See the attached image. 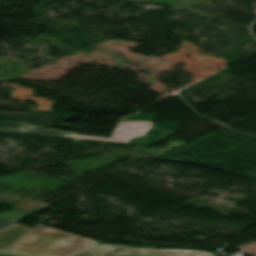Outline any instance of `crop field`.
Here are the masks:
<instances>
[{
    "mask_svg": "<svg viewBox=\"0 0 256 256\" xmlns=\"http://www.w3.org/2000/svg\"><path fill=\"white\" fill-rule=\"evenodd\" d=\"M32 228L14 223L4 229L0 230V250L5 249L14 241L22 237Z\"/></svg>",
    "mask_w": 256,
    "mask_h": 256,
    "instance_id": "obj_4",
    "label": "crop field"
},
{
    "mask_svg": "<svg viewBox=\"0 0 256 256\" xmlns=\"http://www.w3.org/2000/svg\"><path fill=\"white\" fill-rule=\"evenodd\" d=\"M72 256H213L204 251L154 250L120 245L95 244Z\"/></svg>",
    "mask_w": 256,
    "mask_h": 256,
    "instance_id": "obj_2",
    "label": "crop field"
},
{
    "mask_svg": "<svg viewBox=\"0 0 256 256\" xmlns=\"http://www.w3.org/2000/svg\"><path fill=\"white\" fill-rule=\"evenodd\" d=\"M152 122H120L112 138L131 140L133 137L148 134Z\"/></svg>",
    "mask_w": 256,
    "mask_h": 256,
    "instance_id": "obj_3",
    "label": "crop field"
},
{
    "mask_svg": "<svg viewBox=\"0 0 256 256\" xmlns=\"http://www.w3.org/2000/svg\"><path fill=\"white\" fill-rule=\"evenodd\" d=\"M23 218H7V219H0V229L6 227L14 222H17Z\"/></svg>",
    "mask_w": 256,
    "mask_h": 256,
    "instance_id": "obj_7",
    "label": "crop field"
},
{
    "mask_svg": "<svg viewBox=\"0 0 256 256\" xmlns=\"http://www.w3.org/2000/svg\"><path fill=\"white\" fill-rule=\"evenodd\" d=\"M0 256H17V255H10V254H2V253H0Z\"/></svg>",
    "mask_w": 256,
    "mask_h": 256,
    "instance_id": "obj_8",
    "label": "crop field"
},
{
    "mask_svg": "<svg viewBox=\"0 0 256 256\" xmlns=\"http://www.w3.org/2000/svg\"><path fill=\"white\" fill-rule=\"evenodd\" d=\"M70 137L90 139V140H99V141L120 142V143L129 142V141H125V140H115V139H105V138H95V137H85V136H75V135H70Z\"/></svg>",
    "mask_w": 256,
    "mask_h": 256,
    "instance_id": "obj_6",
    "label": "crop field"
},
{
    "mask_svg": "<svg viewBox=\"0 0 256 256\" xmlns=\"http://www.w3.org/2000/svg\"><path fill=\"white\" fill-rule=\"evenodd\" d=\"M22 125V124H21ZM26 126H28V125H26ZM34 127V126H33ZM37 128H40V127H37Z\"/></svg>",
    "mask_w": 256,
    "mask_h": 256,
    "instance_id": "obj_9",
    "label": "crop field"
},
{
    "mask_svg": "<svg viewBox=\"0 0 256 256\" xmlns=\"http://www.w3.org/2000/svg\"><path fill=\"white\" fill-rule=\"evenodd\" d=\"M0 129L30 132V133L38 132V133L58 135V136H67L68 135L67 131L49 130V129H45V128L37 129V128H33V127L20 126V124L5 122V121H0Z\"/></svg>",
    "mask_w": 256,
    "mask_h": 256,
    "instance_id": "obj_5",
    "label": "crop field"
},
{
    "mask_svg": "<svg viewBox=\"0 0 256 256\" xmlns=\"http://www.w3.org/2000/svg\"><path fill=\"white\" fill-rule=\"evenodd\" d=\"M95 243L98 242L41 225L6 251L42 256H70Z\"/></svg>",
    "mask_w": 256,
    "mask_h": 256,
    "instance_id": "obj_1",
    "label": "crop field"
}]
</instances>
